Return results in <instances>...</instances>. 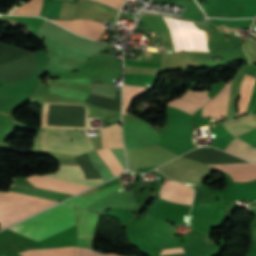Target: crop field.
I'll return each instance as SVG.
<instances>
[{"label":"crop field","instance_id":"4","mask_svg":"<svg viewBox=\"0 0 256 256\" xmlns=\"http://www.w3.org/2000/svg\"><path fill=\"white\" fill-rule=\"evenodd\" d=\"M126 151L129 169L132 171L159 166L178 156L160 146L126 148Z\"/></svg>","mask_w":256,"mask_h":256},{"label":"crop field","instance_id":"23","mask_svg":"<svg viewBox=\"0 0 256 256\" xmlns=\"http://www.w3.org/2000/svg\"><path fill=\"white\" fill-rule=\"evenodd\" d=\"M76 256H117L115 254H107L103 255L101 253H97L93 250L86 249V248H77Z\"/></svg>","mask_w":256,"mask_h":256},{"label":"crop field","instance_id":"6","mask_svg":"<svg viewBox=\"0 0 256 256\" xmlns=\"http://www.w3.org/2000/svg\"><path fill=\"white\" fill-rule=\"evenodd\" d=\"M46 45L49 50L52 66L58 69H74L81 63L92 57L68 48H65L55 42L46 40Z\"/></svg>","mask_w":256,"mask_h":256},{"label":"crop field","instance_id":"3","mask_svg":"<svg viewBox=\"0 0 256 256\" xmlns=\"http://www.w3.org/2000/svg\"><path fill=\"white\" fill-rule=\"evenodd\" d=\"M173 29L175 37L176 52L179 51H206V32L199 30V37L201 43H199L198 31L193 22L185 20H175L164 17ZM212 34L207 32V40H210Z\"/></svg>","mask_w":256,"mask_h":256},{"label":"crop field","instance_id":"27","mask_svg":"<svg viewBox=\"0 0 256 256\" xmlns=\"http://www.w3.org/2000/svg\"><path fill=\"white\" fill-rule=\"evenodd\" d=\"M252 24V23H251Z\"/></svg>","mask_w":256,"mask_h":256},{"label":"crop field","instance_id":"13","mask_svg":"<svg viewBox=\"0 0 256 256\" xmlns=\"http://www.w3.org/2000/svg\"><path fill=\"white\" fill-rule=\"evenodd\" d=\"M210 167L225 171L237 182L256 179V165L253 163L214 165Z\"/></svg>","mask_w":256,"mask_h":256},{"label":"crop field","instance_id":"5","mask_svg":"<svg viewBox=\"0 0 256 256\" xmlns=\"http://www.w3.org/2000/svg\"><path fill=\"white\" fill-rule=\"evenodd\" d=\"M123 133L126 147L159 144L160 135L142 120L123 122Z\"/></svg>","mask_w":256,"mask_h":256},{"label":"crop field","instance_id":"10","mask_svg":"<svg viewBox=\"0 0 256 256\" xmlns=\"http://www.w3.org/2000/svg\"><path fill=\"white\" fill-rule=\"evenodd\" d=\"M207 93V91L195 92L188 90L178 98L170 101L167 106L179 108L193 114L196 109L202 107L210 100Z\"/></svg>","mask_w":256,"mask_h":256},{"label":"crop field","instance_id":"1","mask_svg":"<svg viewBox=\"0 0 256 256\" xmlns=\"http://www.w3.org/2000/svg\"><path fill=\"white\" fill-rule=\"evenodd\" d=\"M69 206L70 205L60 204V205H58V206H56V207H54L50 210H47V211H45V212H43V213H41L37 216H34V217H32V218H30V219H28V220H26L22 223H19V224L15 225V226H13L9 229L18 232V231H20V230H22V229H24V228H26V227H28L32 224L44 219V218H47V217H49V216H51V215H53V214H55V213H57V212H59L63 209L69 207ZM74 216H75L74 206H71V207H69V208H67V209H65V210L47 218V219H45V220H42V221H40V222L30 226V227L18 232V233H20V234H22L26 237H30V236H32L36 233H39V232H41L45 229H48V228H50V227H52L56 224H59V223L65 221V220H68V219H70ZM74 224H75V217L68 220V221H65V222H63L59 225H56V226H54V227H52L48 230H45V231H43L39 234H36V235H34L30 238L34 239L36 241H39V240H42V239H44V238H46L50 235H53V234L59 232L61 230H64V229H66V228H68V227H70Z\"/></svg>","mask_w":256,"mask_h":256},{"label":"crop field","instance_id":"24","mask_svg":"<svg viewBox=\"0 0 256 256\" xmlns=\"http://www.w3.org/2000/svg\"><path fill=\"white\" fill-rule=\"evenodd\" d=\"M182 248H176V249H166V250H161L159 256H168V255H173V254H178V253H183ZM173 256H187L186 253L183 254H178V255H173Z\"/></svg>","mask_w":256,"mask_h":256},{"label":"crop field","instance_id":"14","mask_svg":"<svg viewBox=\"0 0 256 256\" xmlns=\"http://www.w3.org/2000/svg\"><path fill=\"white\" fill-rule=\"evenodd\" d=\"M221 125L235 137L256 128V115H248L237 120L221 123Z\"/></svg>","mask_w":256,"mask_h":256},{"label":"crop field","instance_id":"18","mask_svg":"<svg viewBox=\"0 0 256 256\" xmlns=\"http://www.w3.org/2000/svg\"><path fill=\"white\" fill-rule=\"evenodd\" d=\"M75 247L26 250L19 254L23 256H74Z\"/></svg>","mask_w":256,"mask_h":256},{"label":"crop field","instance_id":"15","mask_svg":"<svg viewBox=\"0 0 256 256\" xmlns=\"http://www.w3.org/2000/svg\"><path fill=\"white\" fill-rule=\"evenodd\" d=\"M10 191H18L38 197H43L47 199H52V200H58V201H63L72 195L60 193V192H55V191H49V190H43L35 187H28V186H22L18 184H12L10 186Z\"/></svg>","mask_w":256,"mask_h":256},{"label":"crop field","instance_id":"20","mask_svg":"<svg viewBox=\"0 0 256 256\" xmlns=\"http://www.w3.org/2000/svg\"><path fill=\"white\" fill-rule=\"evenodd\" d=\"M98 152L106 161L107 165L110 167V169L115 174V176L124 171L123 167L118 162L117 158L111 152L110 149H101V150H98Z\"/></svg>","mask_w":256,"mask_h":256},{"label":"crop field","instance_id":"21","mask_svg":"<svg viewBox=\"0 0 256 256\" xmlns=\"http://www.w3.org/2000/svg\"><path fill=\"white\" fill-rule=\"evenodd\" d=\"M143 88L144 87L124 85V108H123V114H127L128 107H130L131 103L133 102V100L136 97L140 96Z\"/></svg>","mask_w":256,"mask_h":256},{"label":"crop field","instance_id":"12","mask_svg":"<svg viewBox=\"0 0 256 256\" xmlns=\"http://www.w3.org/2000/svg\"><path fill=\"white\" fill-rule=\"evenodd\" d=\"M230 84L231 80L220 93H218L211 101L203 106L202 116L214 117L218 119L225 118Z\"/></svg>","mask_w":256,"mask_h":256},{"label":"crop field","instance_id":"17","mask_svg":"<svg viewBox=\"0 0 256 256\" xmlns=\"http://www.w3.org/2000/svg\"><path fill=\"white\" fill-rule=\"evenodd\" d=\"M122 187H123L122 184H120V185H113V186L108 187V188H106V189H104V190H102V191H100V192H98V193L88 197V198H83V197L76 196V197H74V198H72V199H70V200H68V201H66L64 203L70 204V205H75V206H78V207L86 209V207L89 204L93 203V201H95V200L101 198L102 196H104L106 194H109V193H111V192H113V191H115V190H117L119 188H122Z\"/></svg>","mask_w":256,"mask_h":256},{"label":"crop field","instance_id":"9","mask_svg":"<svg viewBox=\"0 0 256 256\" xmlns=\"http://www.w3.org/2000/svg\"><path fill=\"white\" fill-rule=\"evenodd\" d=\"M42 176L59 179L71 183H76L88 187H92L102 182V179L85 180L84 173L79 167V165H59V168L56 173Z\"/></svg>","mask_w":256,"mask_h":256},{"label":"crop field","instance_id":"11","mask_svg":"<svg viewBox=\"0 0 256 256\" xmlns=\"http://www.w3.org/2000/svg\"><path fill=\"white\" fill-rule=\"evenodd\" d=\"M194 191L192 188L174 181H166L159 197L185 205H190Z\"/></svg>","mask_w":256,"mask_h":256},{"label":"crop field","instance_id":"19","mask_svg":"<svg viewBox=\"0 0 256 256\" xmlns=\"http://www.w3.org/2000/svg\"><path fill=\"white\" fill-rule=\"evenodd\" d=\"M44 0H30L25 6L14 10L11 14L40 15Z\"/></svg>","mask_w":256,"mask_h":256},{"label":"crop field","instance_id":"22","mask_svg":"<svg viewBox=\"0 0 256 256\" xmlns=\"http://www.w3.org/2000/svg\"><path fill=\"white\" fill-rule=\"evenodd\" d=\"M212 198V196L206 193L196 192L193 205L210 206Z\"/></svg>","mask_w":256,"mask_h":256},{"label":"crop field","instance_id":"16","mask_svg":"<svg viewBox=\"0 0 256 256\" xmlns=\"http://www.w3.org/2000/svg\"><path fill=\"white\" fill-rule=\"evenodd\" d=\"M225 151L256 163V148L245 143L238 137L228 144Z\"/></svg>","mask_w":256,"mask_h":256},{"label":"crop field","instance_id":"26","mask_svg":"<svg viewBox=\"0 0 256 256\" xmlns=\"http://www.w3.org/2000/svg\"><path fill=\"white\" fill-rule=\"evenodd\" d=\"M113 17H114V16H113ZM111 18H112V17H111ZM111 18H109V19H111ZM109 19H108V20H109ZM108 20H106V21H108ZM106 21H104V22H106Z\"/></svg>","mask_w":256,"mask_h":256},{"label":"crop field","instance_id":"8","mask_svg":"<svg viewBox=\"0 0 256 256\" xmlns=\"http://www.w3.org/2000/svg\"><path fill=\"white\" fill-rule=\"evenodd\" d=\"M78 34L83 36L91 37L96 40L102 36V34L107 29L106 27L101 26L102 22L93 21V20H52Z\"/></svg>","mask_w":256,"mask_h":256},{"label":"crop field","instance_id":"25","mask_svg":"<svg viewBox=\"0 0 256 256\" xmlns=\"http://www.w3.org/2000/svg\"><path fill=\"white\" fill-rule=\"evenodd\" d=\"M252 238L256 235V228L251 232Z\"/></svg>","mask_w":256,"mask_h":256},{"label":"crop field","instance_id":"2","mask_svg":"<svg viewBox=\"0 0 256 256\" xmlns=\"http://www.w3.org/2000/svg\"><path fill=\"white\" fill-rule=\"evenodd\" d=\"M38 134L82 136L81 132L53 130V129H44V128H42ZM34 144L95 148L91 138H76V137H61V136L37 135L34 138ZM40 145H33V150H44V151H50V152L67 153V154H72L76 156H79L90 150H93L88 148H72V147H56V146H40Z\"/></svg>","mask_w":256,"mask_h":256},{"label":"crop field","instance_id":"7","mask_svg":"<svg viewBox=\"0 0 256 256\" xmlns=\"http://www.w3.org/2000/svg\"><path fill=\"white\" fill-rule=\"evenodd\" d=\"M96 217H97L96 213L88 212L84 209L76 207L77 245L91 246V237H92L93 229L95 227ZM97 220H98V217H97ZM92 242H93V237H92Z\"/></svg>","mask_w":256,"mask_h":256}]
</instances>
